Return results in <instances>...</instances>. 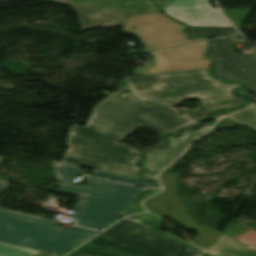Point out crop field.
Instances as JSON below:
<instances>
[{"instance_id":"obj_1","label":"crop field","mask_w":256,"mask_h":256,"mask_svg":"<svg viewBox=\"0 0 256 256\" xmlns=\"http://www.w3.org/2000/svg\"><path fill=\"white\" fill-rule=\"evenodd\" d=\"M195 125L171 107L146 105L130 93H112L94 107L86 127L70 128L61 162L139 179L141 152L120 140L138 126L163 135Z\"/></svg>"},{"instance_id":"obj_2","label":"crop field","mask_w":256,"mask_h":256,"mask_svg":"<svg viewBox=\"0 0 256 256\" xmlns=\"http://www.w3.org/2000/svg\"><path fill=\"white\" fill-rule=\"evenodd\" d=\"M208 70L132 76L125 82L133 95L145 102L174 105L183 98H203L199 101L203 106L184 115L197 122L214 110L239 107L243 100L233 95L241 84L223 83L211 77Z\"/></svg>"},{"instance_id":"obj_3","label":"crop field","mask_w":256,"mask_h":256,"mask_svg":"<svg viewBox=\"0 0 256 256\" xmlns=\"http://www.w3.org/2000/svg\"><path fill=\"white\" fill-rule=\"evenodd\" d=\"M140 219L126 218L68 256H195Z\"/></svg>"},{"instance_id":"obj_4","label":"crop field","mask_w":256,"mask_h":256,"mask_svg":"<svg viewBox=\"0 0 256 256\" xmlns=\"http://www.w3.org/2000/svg\"><path fill=\"white\" fill-rule=\"evenodd\" d=\"M6 181L0 180V192ZM57 221L0 209V241L62 256L97 231L53 226Z\"/></svg>"},{"instance_id":"obj_5","label":"crop field","mask_w":256,"mask_h":256,"mask_svg":"<svg viewBox=\"0 0 256 256\" xmlns=\"http://www.w3.org/2000/svg\"><path fill=\"white\" fill-rule=\"evenodd\" d=\"M78 12L82 30L123 26L131 16L158 11L152 0H56Z\"/></svg>"},{"instance_id":"obj_6","label":"crop field","mask_w":256,"mask_h":256,"mask_svg":"<svg viewBox=\"0 0 256 256\" xmlns=\"http://www.w3.org/2000/svg\"><path fill=\"white\" fill-rule=\"evenodd\" d=\"M52 167L60 181L58 192L131 207L137 196L150 190L91 177L86 178V181L91 182L87 187L73 186L71 181L79 167L57 162H53Z\"/></svg>"},{"instance_id":"obj_7","label":"crop field","mask_w":256,"mask_h":256,"mask_svg":"<svg viewBox=\"0 0 256 256\" xmlns=\"http://www.w3.org/2000/svg\"><path fill=\"white\" fill-rule=\"evenodd\" d=\"M159 177L165 189L159 195L146 200L144 206L158 216L166 215L186 228L199 231V235L191 242L204 249L218 242L222 233L193 223L182 202L176 195L174 176L161 173Z\"/></svg>"},{"instance_id":"obj_8","label":"crop field","mask_w":256,"mask_h":256,"mask_svg":"<svg viewBox=\"0 0 256 256\" xmlns=\"http://www.w3.org/2000/svg\"><path fill=\"white\" fill-rule=\"evenodd\" d=\"M121 30L139 37L145 46L142 54L196 43L181 40L174 26L154 13L131 17Z\"/></svg>"},{"instance_id":"obj_9","label":"crop field","mask_w":256,"mask_h":256,"mask_svg":"<svg viewBox=\"0 0 256 256\" xmlns=\"http://www.w3.org/2000/svg\"><path fill=\"white\" fill-rule=\"evenodd\" d=\"M209 57L216 60L214 73L226 80H242L256 92V54H237L230 46L243 39H213ZM235 44V43H234Z\"/></svg>"},{"instance_id":"obj_10","label":"crop field","mask_w":256,"mask_h":256,"mask_svg":"<svg viewBox=\"0 0 256 256\" xmlns=\"http://www.w3.org/2000/svg\"><path fill=\"white\" fill-rule=\"evenodd\" d=\"M201 48L199 44L151 54L157 64L137 67L134 75L204 69L203 62L198 59Z\"/></svg>"},{"instance_id":"obj_11","label":"crop field","mask_w":256,"mask_h":256,"mask_svg":"<svg viewBox=\"0 0 256 256\" xmlns=\"http://www.w3.org/2000/svg\"><path fill=\"white\" fill-rule=\"evenodd\" d=\"M164 12L193 26H231L208 0H169Z\"/></svg>"},{"instance_id":"obj_12","label":"crop field","mask_w":256,"mask_h":256,"mask_svg":"<svg viewBox=\"0 0 256 256\" xmlns=\"http://www.w3.org/2000/svg\"><path fill=\"white\" fill-rule=\"evenodd\" d=\"M208 128L209 127H206L198 131L186 130L182 133L181 137L169 136V145L146 152L147 158L143 165L147 170L143 172L142 177L145 179H153L157 187H160L159 182L155 179L157 172L170 164L193 140L202 135L201 133Z\"/></svg>"},{"instance_id":"obj_13","label":"crop field","mask_w":256,"mask_h":256,"mask_svg":"<svg viewBox=\"0 0 256 256\" xmlns=\"http://www.w3.org/2000/svg\"><path fill=\"white\" fill-rule=\"evenodd\" d=\"M130 208L80 197L70 218L78 226L100 229L126 214Z\"/></svg>"},{"instance_id":"obj_14","label":"crop field","mask_w":256,"mask_h":256,"mask_svg":"<svg viewBox=\"0 0 256 256\" xmlns=\"http://www.w3.org/2000/svg\"><path fill=\"white\" fill-rule=\"evenodd\" d=\"M206 253L215 256H256V249L232 237L222 235L221 239Z\"/></svg>"},{"instance_id":"obj_15","label":"crop field","mask_w":256,"mask_h":256,"mask_svg":"<svg viewBox=\"0 0 256 256\" xmlns=\"http://www.w3.org/2000/svg\"><path fill=\"white\" fill-rule=\"evenodd\" d=\"M236 126H245L249 128V130L256 132V104L242 112L233 114L226 119L219 121L216 125L218 128H230Z\"/></svg>"},{"instance_id":"obj_16","label":"crop field","mask_w":256,"mask_h":256,"mask_svg":"<svg viewBox=\"0 0 256 256\" xmlns=\"http://www.w3.org/2000/svg\"><path fill=\"white\" fill-rule=\"evenodd\" d=\"M190 37L205 34L210 37H241L232 27H197L187 29Z\"/></svg>"},{"instance_id":"obj_17","label":"crop field","mask_w":256,"mask_h":256,"mask_svg":"<svg viewBox=\"0 0 256 256\" xmlns=\"http://www.w3.org/2000/svg\"><path fill=\"white\" fill-rule=\"evenodd\" d=\"M39 251H34L0 242V256H36Z\"/></svg>"},{"instance_id":"obj_18","label":"crop field","mask_w":256,"mask_h":256,"mask_svg":"<svg viewBox=\"0 0 256 256\" xmlns=\"http://www.w3.org/2000/svg\"><path fill=\"white\" fill-rule=\"evenodd\" d=\"M94 173H95V175H94L95 177L106 178V179L123 182V183H128V184H133V185H137V186H141V187H152V183L142 181V180L127 178V177L113 175V174L104 173V172H100V171H94Z\"/></svg>"},{"instance_id":"obj_19","label":"crop field","mask_w":256,"mask_h":256,"mask_svg":"<svg viewBox=\"0 0 256 256\" xmlns=\"http://www.w3.org/2000/svg\"><path fill=\"white\" fill-rule=\"evenodd\" d=\"M225 15L233 22V24L240 28L241 20L251 15V9H236V10H222Z\"/></svg>"},{"instance_id":"obj_20","label":"crop field","mask_w":256,"mask_h":256,"mask_svg":"<svg viewBox=\"0 0 256 256\" xmlns=\"http://www.w3.org/2000/svg\"><path fill=\"white\" fill-rule=\"evenodd\" d=\"M156 14H157L158 16H160V17L166 19L167 21L171 22V23L175 26L176 31H177L178 35L181 37V39L189 40V39H187V38L182 34V32H181V30H182L183 28H185L182 24H179V23L174 22L172 19H170L169 17L163 15V14L160 13V12H156ZM205 40H206V38L201 37V38H199V39H197V40H191V41L202 42V41H205Z\"/></svg>"},{"instance_id":"obj_21","label":"crop field","mask_w":256,"mask_h":256,"mask_svg":"<svg viewBox=\"0 0 256 256\" xmlns=\"http://www.w3.org/2000/svg\"><path fill=\"white\" fill-rule=\"evenodd\" d=\"M134 217H142L145 218L147 220L148 223H152L154 225H157L158 227H160L161 221L162 219L158 218L157 216L150 214V213H146V214H140V215H134Z\"/></svg>"},{"instance_id":"obj_22","label":"crop field","mask_w":256,"mask_h":256,"mask_svg":"<svg viewBox=\"0 0 256 256\" xmlns=\"http://www.w3.org/2000/svg\"><path fill=\"white\" fill-rule=\"evenodd\" d=\"M159 190H160V189H156V191L150 192V193L146 194L145 196H143L141 199H139L138 202H137V204H136V206H135V208H134V210L132 211V213L135 214V213H140V212L145 211V210L143 209V207L140 206L141 201H142L144 198H146V197H148V196H150V195H152V194H155V193L159 192Z\"/></svg>"},{"instance_id":"obj_23","label":"crop field","mask_w":256,"mask_h":256,"mask_svg":"<svg viewBox=\"0 0 256 256\" xmlns=\"http://www.w3.org/2000/svg\"><path fill=\"white\" fill-rule=\"evenodd\" d=\"M208 44H209V42L202 43L203 48H202V50L200 52V56H199V59L205 63V69L210 68V64H211V61L204 58V54H205Z\"/></svg>"},{"instance_id":"obj_24","label":"crop field","mask_w":256,"mask_h":256,"mask_svg":"<svg viewBox=\"0 0 256 256\" xmlns=\"http://www.w3.org/2000/svg\"><path fill=\"white\" fill-rule=\"evenodd\" d=\"M164 233H165L167 236H170V237H172V238L178 239V240H180L182 243H185V244H187V245H189V246H191V247H194V248H196V249L202 251L201 249H199V248L193 246L192 244H190V243H188V242H186V241L181 240L180 238H178V237H176V236H174V235H172V234H170V233H168V232H164Z\"/></svg>"},{"instance_id":"obj_25","label":"crop field","mask_w":256,"mask_h":256,"mask_svg":"<svg viewBox=\"0 0 256 256\" xmlns=\"http://www.w3.org/2000/svg\"><path fill=\"white\" fill-rule=\"evenodd\" d=\"M250 104H252V102H250V101H247L246 102V107L248 106V105H250ZM245 108V107H244ZM239 110H241V109H239ZM235 111H238V110H232V111H226L225 113H227V114H230V113H233V112H235ZM220 113H222V112H219V113H216L215 114V120H218L219 119V117L217 116L218 114H220Z\"/></svg>"},{"instance_id":"obj_26","label":"crop field","mask_w":256,"mask_h":256,"mask_svg":"<svg viewBox=\"0 0 256 256\" xmlns=\"http://www.w3.org/2000/svg\"><path fill=\"white\" fill-rule=\"evenodd\" d=\"M156 1H157L158 5H159L160 9L164 10L168 0H156Z\"/></svg>"},{"instance_id":"obj_27","label":"crop field","mask_w":256,"mask_h":256,"mask_svg":"<svg viewBox=\"0 0 256 256\" xmlns=\"http://www.w3.org/2000/svg\"><path fill=\"white\" fill-rule=\"evenodd\" d=\"M130 54H134V53H137V51L135 49H131L128 51Z\"/></svg>"},{"instance_id":"obj_28","label":"crop field","mask_w":256,"mask_h":256,"mask_svg":"<svg viewBox=\"0 0 256 256\" xmlns=\"http://www.w3.org/2000/svg\"><path fill=\"white\" fill-rule=\"evenodd\" d=\"M201 256H203V255H201Z\"/></svg>"}]
</instances>
